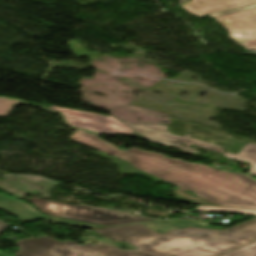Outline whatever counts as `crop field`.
<instances>
[{"label":"crop field","mask_w":256,"mask_h":256,"mask_svg":"<svg viewBox=\"0 0 256 256\" xmlns=\"http://www.w3.org/2000/svg\"><path fill=\"white\" fill-rule=\"evenodd\" d=\"M245 34H233L230 36L231 37H243Z\"/></svg>","instance_id":"obj_17"},{"label":"crop field","mask_w":256,"mask_h":256,"mask_svg":"<svg viewBox=\"0 0 256 256\" xmlns=\"http://www.w3.org/2000/svg\"><path fill=\"white\" fill-rule=\"evenodd\" d=\"M127 126L132 128L134 131L142 135L144 138L150 140L151 142L159 145H170L178 148L179 150L185 153H198L194 151L193 148H190L191 145H196L205 149H209L218 153H223L221 147L211 145L199 140L190 139L191 135L185 134L183 137L169 134L167 132V127L163 125H132L130 123H125ZM185 145V147L181 146Z\"/></svg>","instance_id":"obj_7"},{"label":"crop field","mask_w":256,"mask_h":256,"mask_svg":"<svg viewBox=\"0 0 256 256\" xmlns=\"http://www.w3.org/2000/svg\"><path fill=\"white\" fill-rule=\"evenodd\" d=\"M248 44H251V45H256V39L255 40H252V41H249V42H246ZM242 44H245V43H242ZM241 45V44H239Z\"/></svg>","instance_id":"obj_16"},{"label":"crop field","mask_w":256,"mask_h":256,"mask_svg":"<svg viewBox=\"0 0 256 256\" xmlns=\"http://www.w3.org/2000/svg\"><path fill=\"white\" fill-rule=\"evenodd\" d=\"M222 155L233 160L249 162V174L256 176V144L246 143L244 148L237 155L226 152Z\"/></svg>","instance_id":"obj_9"},{"label":"crop field","mask_w":256,"mask_h":256,"mask_svg":"<svg viewBox=\"0 0 256 256\" xmlns=\"http://www.w3.org/2000/svg\"><path fill=\"white\" fill-rule=\"evenodd\" d=\"M181 6L192 15L211 16L230 34L247 33L231 38L237 44L256 38V0H192Z\"/></svg>","instance_id":"obj_3"},{"label":"crop field","mask_w":256,"mask_h":256,"mask_svg":"<svg viewBox=\"0 0 256 256\" xmlns=\"http://www.w3.org/2000/svg\"><path fill=\"white\" fill-rule=\"evenodd\" d=\"M197 211H222L231 212L247 215H256V210H245V209H233V208H222V207H212V206H199L196 208Z\"/></svg>","instance_id":"obj_10"},{"label":"crop field","mask_w":256,"mask_h":256,"mask_svg":"<svg viewBox=\"0 0 256 256\" xmlns=\"http://www.w3.org/2000/svg\"><path fill=\"white\" fill-rule=\"evenodd\" d=\"M224 256H256V243Z\"/></svg>","instance_id":"obj_13"},{"label":"crop field","mask_w":256,"mask_h":256,"mask_svg":"<svg viewBox=\"0 0 256 256\" xmlns=\"http://www.w3.org/2000/svg\"><path fill=\"white\" fill-rule=\"evenodd\" d=\"M0 210L12 214L21 221L43 216L27 204L13 198H9L2 193L0 194Z\"/></svg>","instance_id":"obj_8"},{"label":"crop field","mask_w":256,"mask_h":256,"mask_svg":"<svg viewBox=\"0 0 256 256\" xmlns=\"http://www.w3.org/2000/svg\"><path fill=\"white\" fill-rule=\"evenodd\" d=\"M31 204L49 216L71 219L103 226L129 224L156 220L149 217H134L129 214L114 212L82 205L68 204L44 198L31 197Z\"/></svg>","instance_id":"obj_5"},{"label":"crop field","mask_w":256,"mask_h":256,"mask_svg":"<svg viewBox=\"0 0 256 256\" xmlns=\"http://www.w3.org/2000/svg\"><path fill=\"white\" fill-rule=\"evenodd\" d=\"M168 223L178 226L180 228H183L185 226H192V227H200V228L223 229V228L209 227V221L177 220V221H168Z\"/></svg>","instance_id":"obj_11"},{"label":"crop field","mask_w":256,"mask_h":256,"mask_svg":"<svg viewBox=\"0 0 256 256\" xmlns=\"http://www.w3.org/2000/svg\"><path fill=\"white\" fill-rule=\"evenodd\" d=\"M10 225L0 222V233L6 230Z\"/></svg>","instance_id":"obj_15"},{"label":"crop field","mask_w":256,"mask_h":256,"mask_svg":"<svg viewBox=\"0 0 256 256\" xmlns=\"http://www.w3.org/2000/svg\"><path fill=\"white\" fill-rule=\"evenodd\" d=\"M145 223L95 230L114 241L128 242L136 248L166 256H219L256 241V219L225 231L185 228ZM155 229H149V227ZM162 231L163 234L157 232ZM221 234V236H218Z\"/></svg>","instance_id":"obj_2"},{"label":"crop field","mask_w":256,"mask_h":256,"mask_svg":"<svg viewBox=\"0 0 256 256\" xmlns=\"http://www.w3.org/2000/svg\"><path fill=\"white\" fill-rule=\"evenodd\" d=\"M42 219H48V220H54V221L72 223V224H77V225H82V226H88V227H101V226H95V225L84 224V223H78V222L67 221V220L56 219V218H50V217H46V218H42Z\"/></svg>","instance_id":"obj_14"},{"label":"crop field","mask_w":256,"mask_h":256,"mask_svg":"<svg viewBox=\"0 0 256 256\" xmlns=\"http://www.w3.org/2000/svg\"><path fill=\"white\" fill-rule=\"evenodd\" d=\"M17 246L20 251L14 256H163L142 249L121 251L117 247L101 243L92 247L70 240L61 242L47 236L19 240Z\"/></svg>","instance_id":"obj_4"},{"label":"crop field","mask_w":256,"mask_h":256,"mask_svg":"<svg viewBox=\"0 0 256 256\" xmlns=\"http://www.w3.org/2000/svg\"><path fill=\"white\" fill-rule=\"evenodd\" d=\"M70 138L115 155L132 163L140 171L178 186L173 191L176 192L175 198L181 201L197 205L256 209V181L243 174L222 172L203 164L186 163L136 148L120 151L95 134L90 135L80 130H76Z\"/></svg>","instance_id":"obj_1"},{"label":"crop field","mask_w":256,"mask_h":256,"mask_svg":"<svg viewBox=\"0 0 256 256\" xmlns=\"http://www.w3.org/2000/svg\"><path fill=\"white\" fill-rule=\"evenodd\" d=\"M15 103L21 104V101L0 98V116H7Z\"/></svg>","instance_id":"obj_12"},{"label":"crop field","mask_w":256,"mask_h":256,"mask_svg":"<svg viewBox=\"0 0 256 256\" xmlns=\"http://www.w3.org/2000/svg\"><path fill=\"white\" fill-rule=\"evenodd\" d=\"M50 109L62 112L67 123L74 127L105 135L123 134L143 138L132 129L110 116L56 106H50Z\"/></svg>","instance_id":"obj_6"}]
</instances>
